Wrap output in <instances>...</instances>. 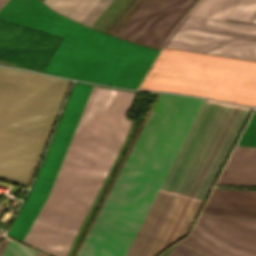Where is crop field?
Here are the masks:
<instances>
[{"mask_svg": "<svg viewBox=\"0 0 256 256\" xmlns=\"http://www.w3.org/2000/svg\"><path fill=\"white\" fill-rule=\"evenodd\" d=\"M205 100L158 97L76 256H124ZM250 108L205 101L125 256L189 231Z\"/></svg>", "mask_w": 256, "mask_h": 256, "instance_id": "crop-field-1", "label": "crop field"}, {"mask_svg": "<svg viewBox=\"0 0 256 256\" xmlns=\"http://www.w3.org/2000/svg\"><path fill=\"white\" fill-rule=\"evenodd\" d=\"M92 85L76 82L33 187L7 234L24 241L61 164ZM133 94L93 86L51 191L25 242L65 256L127 132Z\"/></svg>", "mask_w": 256, "mask_h": 256, "instance_id": "crop-field-2", "label": "crop field"}, {"mask_svg": "<svg viewBox=\"0 0 256 256\" xmlns=\"http://www.w3.org/2000/svg\"><path fill=\"white\" fill-rule=\"evenodd\" d=\"M0 18L64 36L44 73L136 89L158 50L95 31L38 0H8Z\"/></svg>", "mask_w": 256, "mask_h": 256, "instance_id": "crop-field-3", "label": "crop field"}, {"mask_svg": "<svg viewBox=\"0 0 256 256\" xmlns=\"http://www.w3.org/2000/svg\"><path fill=\"white\" fill-rule=\"evenodd\" d=\"M70 84L0 67V180L28 186Z\"/></svg>", "mask_w": 256, "mask_h": 256, "instance_id": "crop-field-4", "label": "crop field"}, {"mask_svg": "<svg viewBox=\"0 0 256 256\" xmlns=\"http://www.w3.org/2000/svg\"><path fill=\"white\" fill-rule=\"evenodd\" d=\"M139 89L256 106V62L162 48Z\"/></svg>", "mask_w": 256, "mask_h": 256, "instance_id": "crop-field-5", "label": "crop field"}, {"mask_svg": "<svg viewBox=\"0 0 256 256\" xmlns=\"http://www.w3.org/2000/svg\"><path fill=\"white\" fill-rule=\"evenodd\" d=\"M164 46L256 60V26L186 16Z\"/></svg>", "mask_w": 256, "mask_h": 256, "instance_id": "crop-field-6", "label": "crop field"}, {"mask_svg": "<svg viewBox=\"0 0 256 256\" xmlns=\"http://www.w3.org/2000/svg\"><path fill=\"white\" fill-rule=\"evenodd\" d=\"M218 217L200 215L193 231L179 243L216 256ZM217 256H256V220L219 217Z\"/></svg>", "mask_w": 256, "mask_h": 256, "instance_id": "crop-field-7", "label": "crop field"}, {"mask_svg": "<svg viewBox=\"0 0 256 256\" xmlns=\"http://www.w3.org/2000/svg\"><path fill=\"white\" fill-rule=\"evenodd\" d=\"M197 0H145L116 37L160 49Z\"/></svg>", "mask_w": 256, "mask_h": 256, "instance_id": "crop-field-8", "label": "crop field"}, {"mask_svg": "<svg viewBox=\"0 0 256 256\" xmlns=\"http://www.w3.org/2000/svg\"><path fill=\"white\" fill-rule=\"evenodd\" d=\"M62 36L0 19V60L43 71Z\"/></svg>", "mask_w": 256, "mask_h": 256, "instance_id": "crop-field-9", "label": "crop field"}, {"mask_svg": "<svg viewBox=\"0 0 256 256\" xmlns=\"http://www.w3.org/2000/svg\"><path fill=\"white\" fill-rule=\"evenodd\" d=\"M202 213L256 218V191L213 189Z\"/></svg>", "mask_w": 256, "mask_h": 256, "instance_id": "crop-field-10", "label": "crop field"}, {"mask_svg": "<svg viewBox=\"0 0 256 256\" xmlns=\"http://www.w3.org/2000/svg\"><path fill=\"white\" fill-rule=\"evenodd\" d=\"M216 185L256 186V148L236 146Z\"/></svg>", "mask_w": 256, "mask_h": 256, "instance_id": "crop-field-11", "label": "crop field"}, {"mask_svg": "<svg viewBox=\"0 0 256 256\" xmlns=\"http://www.w3.org/2000/svg\"><path fill=\"white\" fill-rule=\"evenodd\" d=\"M98 0H45L43 3L55 12L75 21H81Z\"/></svg>", "mask_w": 256, "mask_h": 256, "instance_id": "crop-field-12", "label": "crop field"}, {"mask_svg": "<svg viewBox=\"0 0 256 256\" xmlns=\"http://www.w3.org/2000/svg\"><path fill=\"white\" fill-rule=\"evenodd\" d=\"M236 1L200 0L189 15L224 20Z\"/></svg>", "mask_w": 256, "mask_h": 256, "instance_id": "crop-field-13", "label": "crop field"}, {"mask_svg": "<svg viewBox=\"0 0 256 256\" xmlns=\"http://www.w3.org/2000/svg\"><path fill=\"white\" fill-rule=\"evenodd\" d=\"M225 20L256 25V0H238Z\"/></svg>", "mask_w": 256, "mask_h": 256, "instance_id": "crop-field-14", "label": "crop field"}, {"mask_svg": "<svg viewBox=\"0 0 256 256\" xmlns=\"http://www.w3.org/2000/svg\"><path fill=\"white\" fill-rule=\"evenodd\" d=\"M38 252L23 246L17 242L7 239L0 256H36ZM37 256H46L38 253Z\"/></svg>", "mask_w": 256, "mask_h": 256, "instance_id": "crop-field-15", "label": "crop field"}, {"mask_svg": "<svg viewBox=\"0 0 256 256\" xmlns=\"http://www.w3.org/2000/svg\"><path fill=\"white\" fill-rule=\"evenodd\" d=\"M238 145L256 147V110L254 111Z\"/></svg>", "mask_w": 256, "mask_h": 256, "instance_id": "crop-field-16", "label": "crop field"}, {"mask_svg": "<svg viewBox=\"0 0 256 256\" xmlns=\"http://www.w3.org/2000/svg\"><path fill=\"white\" fill-rule=\"evenodd\" d=\"M111 1L112 0H100L81 23L90 27Z\"/></svg>", "mask_w": 256, "mask_h": 256, "instance_id": "crop-field-17", "label": "crop field"}, {"mask_svg": "<svg viewBox=\"0 0 256 256\" xmlns=\"http://www.w3.org/2000/svg\"><path fill=\"white\" fill-rule=\"evenodd\" d=\"M166 256H204L177 244Z\"/></svg>", "mask_w": 256, "mask_h": 256, "instance_id": "crop-field-18", "label": "crop field"}, {"mask_svg": "<svg viewBox=\"0 0 256 256\" xmlns=\"http://www.w3.org/2000/svg\"><path fill=\"white\" fill-rule=\"evenodd\" d=\"M6 0H1L0 1V7L2 6V4L5 2Z\"/></svg>", "mask_w": 256, "mask_h": 256, "instance_id": "crop-field-19", "label": "crop field"}, {"mask_svg": "<svg viewBox=\"0 0 256 256\" xmlns=\"http://www.w3.org/2000/svg\"><path fill=\"white\" fill-rule=\"evenodd\" d=\"M1 235V234H0ZM2 236V235H1Z\"/></svg>", "mask_w": 256, "mask_h": 256, "instance_id": "crop-field-20", "label": "crop field"}]
</instances>
